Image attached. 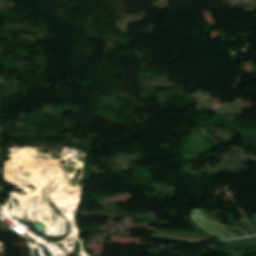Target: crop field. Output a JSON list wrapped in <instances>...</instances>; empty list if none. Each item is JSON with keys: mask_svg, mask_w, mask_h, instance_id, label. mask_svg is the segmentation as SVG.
I'll return each instance as SVG.
<instances>
[{"mask_svg": "<svg viewBox=\"0 0 256 256\" xmlns=\"http://www.w3.org/2000/svg\"><path fill=\"white\" fill-rule=\"evenodd\" d=\"M192 219L204 230H206L208 233H210L212 236L218 238V239H223L225 238L223 235H221L218 231H216L208 221L191 216Z\"/></svg>", "mask_w": 256, "mask_h": 256, "instance_id": "obj_1", "label": "crop field"}, {"mask_svg": "<svg viewBox=\"0 0 256 256\" xmlns=\"http://www.w3.org/2000/svg\"><path fill=\"white\" fill-rule=\"evenodd\" d=\"M240 248L244 247H256V237L249 239L239 240Z\"/></svg>", "mask_w": 256, "mask_h": 256, "instance_id": "obj_2", "label": "crop field"}, {"mask_svg": "<svg viewBox=\"0 0 256 256\" xmlns=\"http://www.w3.org/2000/svg\"><path fill=\"white\" fill-rule=\"evenodd\" d=\"M218 231H220L223 235H225L227 238H234L235 236H233L230 232H228L227 230H225L223 227L215 225L213 223H211Z\"/></svg>", "mask_w": 256, "mask_h": 256, "instance_id": "obj_3", "label": "crop field"}, {"mask_svg": "<svg viewBox=\"0 0 256 256\" xmlns=\"http://www.w3.org/2000/svg\"><path fill=\"white\" fill-rule=\"evenodd\" d=\"M225 228L237 237H245L246 236L245 233H243L242 231H240L237 228H227V227H225Z\"/></svg>", "mask_w": 256, "mask_h": 256, "instance_id": "obj_4", "label": "crop field"}, {"mask_svg": "<svg viewBox=\"0 0 256 256\" xmlns=\"http://www.w3.org/2000/svg\"><path fill=\"white\" fill-rule=\"evenodd\" d=\"M238 227L241 228L243 231H245L248 235L256 234L254 231H252L250 228H248L246 225H244L242 222L238 224Z\"/></svg>", "mask_w": 256, "mask_h": 256, "instance_id": "obj_5", "label": "crop field"}, {"mask_svg": "<svg viewBox=\"0 0 256 256\" xmlns=\"http://www.w3.org/2000/svg\"><path fill=\"white\" fill-rule=\"evenodd\" d=\"M192 214H193L194 216H197V217L206 219L205 216H204V214H203V212H202V210H193V211H192Z\"/></svg>", "mask_w": 256, "mask_h": 256, "instance_id": "obj_6", "label": "crop field"}, {"mask_svg": "<svg viewBox=\"0 0 256 256\" xmlns=\"http://www.w3.org/2000/svg\"><path fill=\"white\" fill-rule=\"evenodd\" d=\"M160 235H170V236H179V237H187V238H202V239H206L204 237H197V236H185V235H172V234H161V233H157Z\"/></svg>", "mask_w": 256, "mask_h": 256, "instance_id": "obj_7", "label": "crop field"}, {"mask_svg": "<svg viewBox=\"0 0 256 256\" xmlns=\"http://www.w3.org/2000/svg\"><path fill=\"white\" fill-rule=\"evenodd\" d=\"M202 210H203L204 214H205L206 216H208L210 219H212L213 221H215V222L218 223V224H222L221 222H219L218 220H216L214 217H212V216L206 211V209H202ZM222 225H224V224H222Z\"/></svg>", "mask_w": 256, "mask_h": 256, "instance_id": "obj_8", "label": "crop field"}, {"mask_svg": "<svg viewBox=\"0 0 256 256\" xmlns=\"http://www.w3.org/2000/svg\"><path fill=\"white\" fill-rule=\"evenodd\" d=\"M242 222H244L246 225H248L250 228H252L256 232V228L251 225L245 218L241 219Z\"/></svg>", "mask_w": 256, "mask_h": 256, "instance_id": "obj_9", "label": "crop field"}, {"mask_svg": "<svg viewBox=\"0 0 256 256\" xmlns=\"http://www.w3.org/2000/svg\"><path fill=\"white\" fill-rule=\"evenodd\" d=\"M251 224H253L256 227V222L254 220H250L248 218H246Z\"/></svg>", "mask_w": 256, "mask_h": 256, "instance_id": "obj_10", "label": "crop field"}, {"mask_svg": "<svg viewBox=\"0 0 256 256\" xmlns=\"http://www.w3.org/2000/svg\"><path fill=\"white\" fill-rule=\"evenodd\" d=\"M253 219L256 221V215L253 216Z\"/></svg>", "mask_w": 256, "mask_h": 256, "instance_id": "obj_11", "label": "crop field"}]
</instances>
